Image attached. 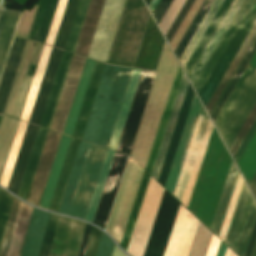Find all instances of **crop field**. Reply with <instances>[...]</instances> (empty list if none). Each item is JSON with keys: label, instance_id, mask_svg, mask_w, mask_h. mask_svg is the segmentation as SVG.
I'll return each mask as SVG.
<instances>
[{"label": "crop field", "instance_id": "4", "mask_svg": "<svg viewBox=\"0 0 256 256\" xmlns=\"http://www.w3.org/2000/svg\"><path fill=\"white\" fill-rule=\"evenodd\" d=\"M256 103V74L248 65L214 124L228 149Z\"/></svg>", "mask_w": 256, "mask_h": 256}, {"label": "crop field", "instance_id": "1", "mask_svg": "<svg viewBox=\"0 0 256 256\" xmlns=\"http://www.w3.org/2000/svg\"><path fill=\"white\" fill-rule=\"evenodd\" d=\"M131 70L104 66L82 140L108 147Z\"/></svg>", "mask_w": 256, "mask_h": 256}, {"label": "crop field", "instance_id": "58", "mask_svg": "<svg viewBox=\"0 0 256 256\" xmlns=\"http://www.w3.org/2000/svg\"><path fill=\"white\" fill-rule=\"evenodd\" d=\"M255 240H256V222H255V225H254V228H253V231H252V234H251V237H250V240H249V243H248V246H247L244 256H251V253H252V250H253V247L255 244Z\"/></svg>", "mask_w": 256, "mask_h": 256}, {"label": "crop field", "instance_id": "30", "mask_svg": "<svg viewBox=\"0 0 256 256\" xmlns=\"http://www.w3.org/2000/svg\"><path fill=\"white\" fill-rule=\"evenodd\" d=\"M103 66H104L103 64H100L97 62L95 63V66H94V69L92 72V76H91V79H90V82H89V85H88V88H87V91H86V94L84 97V101H83V104H82V107H81V110H80V113H79V116H78V119L76 122V126L74 129L73 135H72L73 137H76L79 139L81 138V135H82V132L84 129V125H85V122H86V119H87V116H88V113H89V110H90V107L92 104V100H93V97H94V94H95V91H96V88H97V85H98V82L100 79V75H101Z\"/></svg>", "mask_w": 256, "mask_h": 256}, {"label": "crop field", "instance_id": "55", "mask_svg": "<svg viewBox=\"0 0 256 256\" xmlns=\"http://www.w3.org/2000/svg\"><path fill=\"white\" fill-rule=\"evenodd\" d=\"M172 0H160L159 4L154 10V18L156 22L159 24L161 19L163 18L166 10L168 9L169 5L171 4Z\"/></svg>", "mask_w": 256, "mask_h": 256}, {"label": "crop field", "instance_id": "34", "mask_svg": "<svg viewBox=\"0 0 256 256\" xmlns=\"http://www.w3.org/2000/svg\"><path fill=\"white\" fill-rule=\"evenodd\" d=\"M140 71L141 70H137V69L132 70L131 77H130V80H129V83H128V86L126 89V93H125V96H124V99H123V102L121 105V109H120V112H119V115H118V118L116 121V125L114 128L112 137H111V141H110V144L108 147L110 149H114V150L116 149V146H117V143L119 140V136H120V133H121V130H122V127H123V124H124V121H125V118L127 115V111H128V108H129V105H130V102H131V99H132V96H133V93L135 90V86H136Z\"/></svg>", "mask_w": 256, "mask_h": 256}, {"label": "crop field", "instance_id": "23", "mask_svg": "<svg viewBox=\"0 0 256 256\" xmlns=\"http://www.w3.org/2000/svg\"><path fill=\"white\" fill-rule=\"evenodd\" d=\"M58 0H40L28 38L45 41L49 25Z\"/></svg>", "mask_w": 256, "mask_h": 256}, {"label": "crop field", "instance_id": "45", "mask_svg": "<svg viewBox=\"0 0 256 256\" xmlns=\"http://www.w3.org/2000/svg\"><path fill=\"white\" fill-rule=\"evenodd\" d=\"M247 65V62L245 61V59H243L242 63L240 64L239 68L237 69L236 73L234 74L226 90L224 91L223 95L221 96L220 100L218 101L217 105L215 106L214 110L210 115L213 122L217 117L218 113L220 112L221 108L223 107L224 103L226 102L227 98L229 97L230 93L234 89L235 85L237 84L238 80L240 79L241 75L243 74L244 70L246 69Z\"/></svg>", "mask_w": 256, "mask_h": 256}, {"label": "crop field", "instance_id": "32", "mask_svg": "<svg viewBox=\"0 0 256 256\" xmlns=\"http://www.w3.org/2000/svg\"><path fill=\"white\" fill-rule=\"evenodd\" d=\"M94 63H95L94 61H91L88 59L86 60V63H85L84 69H83V73H82V76H81V79H80V82H79V85H78V88H77V91L75 94V98H74V101H73V104H72V107H71V110H70V113H69V116L67 119V123H66L65 129H64V132H63L64 134H67L70 136L72 135V132H73V129L75 126V122H76V119H77V116H78V113H79V110H80V107H81V104L83 101V97H84V94H85V91H86V88H87V85H88V82H89V79L91 76V72H92Z\"/></svg>", "mask_w": 256, "mask_h": 256}, {"label": "crop field", "instance_id": "25", "mask_svg": "<svg viewBox=\"0 0 256 256\" xmlns=\"http://www.w3.org/2000/svg\"><path fill=\"white\" fill-rule=\"evenodd\" d=\"M72 53H68V52H63L62 58H61V62L55 77V81L49 96V100L43 115V119L41 122V127L44 128H49L59 95H60V91L72 58Z\"/></svg>", "mask_w": 256, "mask_h": 256}, {"label": "crop field", "instance_id": "39", "mask_svg": "<svg viewBox=\"0 0 256 256\" xmlns=\"http://www.w3.org/2000/svg\"><path fill=\"white\" fill-rule=\"evenodd\" d=\"M113 153H114L113 151H110L108 149L106 150V154H105V157H104L101 169H100V173H99V176H98V179L96 182V186H95V189H94V192L92 195V199H91V202H90V205H89V208L87 211V215L85 218L86 220H88L90 222H92V219H93V216L95 213V209H96V206H97V203H98L101 191H102V187H103V184H104V181H105V178H106L109 166H110V162H111Z\"/></svg>", "mask_w": 256, "mask_h": 256}, {"label": "crop field", "instance_id": "38", "mask_svg": "<svg viewBox=\"0 0 256 256\" xmlns=\"http://www.w3.org/2000/svg\"><path fill=\"white\" fill-rule=\"evenodd\" d=\"M238 171L232 162L211 230L218 235Z\"/></svg>", "mask_w": 256, "mask_h": 256}, {"label": "crop field", "instance_id": "15", "mask_svg": "<svg viewBox=\"0 0 256 256\" xmlns=\"http://www.w3.org/2000/svg\"><path fill=\"white\" fill-rule=\"evenodd\" d=\"M62 50L52 48L41 85L29 118V123L40 125L41 118L48 100V96L54 81V77L60 62Z\"/></svg>", "mask_w": 256, "mask_h": 256}, {"label": "crop field", "instance_id": "46", "mask_svg": "<svg viewBox=\"0 0 256 256\" xmlns=\"http://www.w3.org/2000/svg\"><path fill=\"white\" fill-rule=\"evenodd\" d=\"M13 198L14 197L12 195L0 189V244L4 234Z\"/></svg>", "mask_w": 256, "mask_h": 256}, {"label": "crop field", "instance_id": "68", "mask_svg": "<svg viewBox=\"0 0 256 256\" xmlns=\"http://www.w3.org/2000/svg\"><path fill=\"white\" fill-rule=\"evenodd\" d=\"M150 1H151V0H145L147 6H148V4H149Z\"/></svg>", "mask_w": 256, "mask_h": 256}, {"label": "crop field", "instance_id": "37", "mask_svg": "<svg viewBox=\"0 0 256 256\" xmlns=\"http://www.w3.org/2000/svg\"><path fill=\"white\" fill-rule=\"evenodd\" d=\"M51 48L52 47L50 46H46V45L44 46L32 85H31L21 118H20L21 120H24L26 122L28 121Z\"/></svg>", "mask_w": 256, "mask_h": 256}, {"label": "crop field", "instance_id": "9", "mask_svg": "<svg viewBox=\"0 0 256 256\" xmlns=\"http://www.w3.org/2000/svg\"><path fill=\"white\" fill-rule=\"evenodd\" d=\"M180 203L164 191L143 256H163Z\"/></svg>", "mask_w": 256, "mask_h": 256}, {"label": "crop field", "instance_id": "26", "mask_svg": "<svg viewBox=\"0 0 256 256\" xmlns=\"http://www.w3.org/2000/svg\"><path fill=\"white\" fill-rule=\"evenodd\" d=\"M182 75H183V73H182L180 67L178 66V69H177V72H176V75H175V78L173 81V85H172V88H171V91H170V94H169V97H168V100H167V103H166V106H165V109H164V112L162 115V119H161L158 131H157V134H156V137H155L152 149H151V153H150V156H149L146 168H145V170L149 174H151V171H152V168H153V165L155 162V158H156V155H157V152H158V149H159V146H160V143H161V140H162L165 128H166V124H167V121H168V118H169V115H170V112H171V109H172V106H173V103H174V100H175V97L177 94V90H178Z\"/></svg>", "mask_w": 256, "mask_h": 256}, {"label": "crop field", "instance_id": "40", "mask_svg": "<svg viewBox=\"0 0 256 256\" xmlns=\"http://www.w3.org/2000/svg\"><path fill=\"white\" fill-rule=\"evenodd\" d=\"M19 13L6 11L0 27V70Z\"/></svg>", "mask_w": 256, "mask_h": 256}, {"label": "crop field", "instance_id": "66", "mask_svg": "<svg viewBox=\"0 0 256 256\" xmlns=\"http://www.w3.org/2000/svg\"><path fill=\"white\" fill-rule=\"evenodd\" d=\"M5 0H0V9H2Z\"/></svg>", "mask_w": 256, "mask_h": 256}, {"label": "crop field", "instance_id": "61", "mask_svg": "<svg viewBox=\"0 0 256 256\" xmlns=\"http://www.w3.org/2000/svg\"><path fill=\"white\" fill-rule=\"evenodd\" d=\"M256 51V39L253 42L252 46L250 47L249 51L247 52L245 59L247 60V62L249 63L251 57L253 56L254 52Z\"/></svg>", "mask_w": 256, "mask_h": 256}, {"label": "crop field", "instance_id": "5", "mask_svg": "<svg viewBox=\"0 0 256 256\" xmlns=\"http://www.w3.org/2000/svg\"><path fill=\"white\" fill-rule=\"evenodd\" d=\"M255 23L256 0L253 1L245 17L198 94L205 107Z\"/></svg>", "mask_w": 256, "mask_h": 256}, {"label": "crop field", "instance_id": "44", "mask_svg": "<svg viewBox=\"0 0 256 256\" xmlns=\"http://www.w3.org/2000/svg\"><path fill=\"white\" fill-rule=\"evenodd\" d=\"M26 125H27L26 123H23L21 121L19 122L18 129H17L16 135H15L13 145H12V148H11V151H10V154L8 157V161H7L4 173H3V177H2V180L0 183L4 187H7V184H8V181H9V178L11 175V171H12V168H13V165H14V162H15V159H16L21 141H22V137H23Z\"/></svg>", "mask_w": 256, "mask_h": 256}, {"label": "crop field", "instance_id": "60", "mask_svg": "<svg viewBox=\"0 0 256 256\" xmlns=\"http://www.w3.org/2000/svg\"><path fill=\"white\" fill-rule=\"evenodd\" d=\"M21 14H22V13L19 14V17H18V20H17V23H16V27H15V30H14V33H13V36H12V39H11V42H10V45H9V48H8V52H7V55H6V58H5V61H4V64H3V67H2V70H1V73H0V80H1L2 73H3L4 67H5V64H6L8 55H9V52H10V48H11V45H12V42H13V39H14V36H15V33H16V30H17V27H18V23H19Z\"/></svg>", "mask_w": 256, "mask_h": 256}, {"label": "crop field", "instance_id": "8", "mask_svg": "<svg viewBox=\"0 0 256 256\" xmlns=\"http://www.w3.org/2000/svg\"><path fill=\"white\" fill-rule=\"evenodd\" d=\"M125 0H105L88 58L106 62Z\"/></svg>", "mask_w": 256, "mask_h": 256}, {"label": "crop field", "instance_id": "7", "mask_svg": "<svg viewBox=\"0 0 256 256\" xmlns=\"http://www.w3.org/2000/svg\"><path fill=\"white\" fill-rule=\"evenodd\" d=\"M164 189L150 178L127 253L142 256Z\"/></svg>", "mask_w": 256, "mask_h": 256}, {"label": "crop field", "instance_id": "53", "mask_svg": "<svg viewBox=\"0 0 256 256\" xmlns=\"http://www.w3.org/2000/svg\"><path fill=\"white\" fill-rule=\"evenodd\" d=\"M100 233H101V231H99L97 228H95L93 226L91 227V231H90V235H89V239H88V243L86 246L84 256H94L95 255V251L97 248Z\"/></svg>", "mask_w": 256, "mask_h": 256}, {"label": "crop field", "instance_id": "57", "mask_svg": "<svg viewBox=\"0 0 256 256\" xmlns=\"http://www.w3.org/2000/svg\"><path fill=\"white\" fill-rule=\"evenodd\" d=\"M220 240L212 235L206 256H215Z\"/></svg>", "mask_w": 256, "mask_h": 256}, {"label": "crop field", "instance_id": "20", "mask_svg": "<svg viewBox=\"0 0 256 256\" xmlns=\"http://www.w3.org/2000/svg\"><path fill=\"white\" fill-rule=\"evenodd\" d=\"M199 106H200V104H199L196 96L194 95V98H193V101L191 104V108H190V111H189V114H188V117H187V120H186V123L184 126V130H183V133H182V136H181V139H180L177 151H176V155H175V158H174V161H173L170 173H169V177H168V180H167V183L165 186V188L170 193H172V190H173V187H174V184L176 181V177H177V174H178V171H179V168H180V165H181L184 153H185V149H186V146H187L194 122H195V118H196Z\"/></svg>", "mask_w": 256, "mask_h": 256}, {"label": "crop field", "instance_id": "54", "mask_svg": "<svg viewBox=\"0 0 256 256\" xmlns=\"http://www.w3.org/2000/svg\"><path fill=\"white\" fill-rule=\"evenodd\" d=\"M194 0H186L185 4L183 5L182 9L180 10L178 16L176 17L175 21L173 22L172 26L170 27L169 31L166 34V39L169 43L170 39L172 38L173 34L175 33L176 29L178 28L180 22L182 21L183 17L185 16L186 12L188 11L189 7L191 6Z\"/></svg>", "mask_w": 256, "mask_h": 256}, {"label": "crop field", "instance_id": "50", "mask_svg": "<svg viewBox=\"0 0 256 256\" xmlns=\"http://www.w3.org/2000/svg\"><path fill=\"white\" fill-rule=\"evenodd\" d=\"M19 202H20L19 200L14 198V202H13L12 209L10 212L9 220L7 223V227H6L5 234H4L3 241L1 244V248H0V256H5L7 245H8L9 238H10L11 231H12V227H13L14 220L16 217L17 209L19 206Z\"/></svg>", "mask_w": 256, "mask_h": 256}, {"label": "crop field", "instance_id": "29", "mask_svg": "<svg viewBox=\"0 0 256 256\" xmlns=\"http://www.w3.org/2000/svg\"><path fill=\"white\" fill-rule=\"evenodd\" d=\"M187 84H188V82H187L185 76L183 75V78H182V81H181V84L179 87V91H178V94H177V97H176V100H175V103H174V106H173V109H172V112H171V115H170V118L168 121V125H167L166 131H165V134H164V137H163V140H162V143H161L158 155H157V159H156V162H155L152 174H151V176L154 177L155 179H157V176H158V173H159V170H160L163 158H164V154H165V151H166V148H167V145H168V142H169V139H170V136H171V133H172L179 109H180V105H181Z\"/></svg>", "mask_w": 256, "mask_h": 256}, {"label": "crop field", "instance_id": "65", "mask_svg": "<svg viewBox=\"0 0 256 256\" xmlns=\"http://www.w3.org/2000/svg\"><path fill=\"white\" fill-rule=\"evenodd\" d=\"M4 12H5V11H0V24H1V21H2L3 15H4Z\"/></svg>", "mask_w": 256, "mask_h": 256}, {"label": "crop field", "instance_id": "43", "mask_svg": "<svg viewBox=\"0 0 256 256\" xmlns=\"http://www.w3.org/2000/svg\"><path fill=\"white\" fill-rule=\"evenodd\" d=\"M213 1L214 0H205L198 13L196 14L195 18L193 19L191 25L189 26L188 30L186 31L185 35L183 36L182 40L180 41L178 47L174 52L178 60L182 55L183 51L185 50L186 46L188 45L189 41L191 40L192 36L194 35L195 31L197 30L198 26L200 25L201 21L203 20Z\"/></svg>", "mask_w": 256, "mask_h": 256}, {"label": "crop field", "instance_id": "56", "mask_svg": "<svg viewBox=\"0 0 256 256\" xmlns=\"http://www.w3.org/2000/svg\"><path fill=\"white\" fill-rule=\"evenodd\" d=\"M256 130V121L254 122L253 126L249 130L248 134L246 135L245 139L243 140L242 144L238 148L237 152L234 155V160L237 162L239 157L241 156L243 150L245 149L246 145L248 144L250 138L252 137L254 131Z\"/></svg>", "mask_w": 256, "mask_h": 256}, {"label": "crop field", "instance_id": "35", "mask_svg": "<svg viewBox=\"0 0 256 256\" xmlns=\"http://www.w3.org/2000/svg\"><path fill=\"white\" fill-rule=\"evenodd\" d=\"M149 178H150V176L148 174H146L145 172H143V175H142V178L140 181V185H139V188H138V191H137V194H136L133 206H132V210H131V213H130V216H129V219H128V222H127V225H126V228L124 231V235H123V238H122V241L120 244V246L125 251H127V247H128V244H129V241H130V238H131L134 226H135V222H136V219H137L140 207H141V203H142V200H143L146 188H147Z\"/></svg>", "mask_w": 256, "mask_h": 256}, {"label": "crop field", "instance_id": "6", "mask_svg": "<svg viewBox=\"0 0 256 256\" xmlns=\"http://www.w3.org/2000/svg\"><path fill=\"white\" fill-rule=\"evenodd\" d=\"M248 190L243 183L225 240L239 256L244 255L256 219V203Z\"/></svg>", "mask_w": 256, "mask_h": 256}, {"label": "crop field", "instance_id": "18", "mask_svg": "<svg viewBox=\"0 0 256 256\" xmlns=\"http://www.w3.org/2000/svg\"><path fill=\"white\" fill-rule=\"evenodd\" d=\"M49 215L33 209L21 256H39Z\"/></svg>", "mask_w": 256, "mask_h": 256}, {"label": "crop field", "instance_id": "49", "mask_svg": "<svg viewBox=\"0 0 256 256\" xmlns=\"http://www.w3.org/2000/svg\"><path fill=\"white\" fill-rule=\"evenodd\" d=\"M66 2H67V0H59V2H58L56 12H55V15H54V18H53L46 42H45L46 44H49L51 46L53 45Z\"/></svg>", "mask_w": 256, "mask_h": 256}, {"label": "crop field", "instance_id": "63", "mask_svg": "<svg viewBox=\"0 0 256 256\" xmlns=\"http://www.w3.org/2000/svg\"><path fill=\"white\" fill-rule=\"evenodd\" d=\"M249 186H250V188H251V190H252V192H253V194H254V196L256 198V175L254 176V178L251 181Z\"/></svg>", "mask_w": 256, "mask_h": 256}, {"label": "crop field", "instance_id": "64", "mask_svg": "<svg viewBox=\"0 0 256 256\" xmlns=\"http://www.w3.org/2000/svg\"><path fill=\"white\" fill-rule=\"evenodd\" d=\"M225 256H236L229 248H227Z\"/></svg>", "mask_w": 256, "mask_h": 256}, {"label": "crop field", "instance_id": "28", "mask_svg": "<svg viewBox=\"0 0 256 256\" xmlns=\"http://www.w3.org/2000/svg\"><path fill=\"white\" fill-rule=\"evenodd\" d=\"M79 142H80L79 140H76L73 138L71 139V142H70V145H69V148H68V151H67V154H66L49 208H48L51 211H55V212L58 211Z\"/></svg>", "mask_w": 256, "mask_h": 256}, {"label": "crop field", "instance_id": "19", "mask_svg": "<svg viewBox=\"0 0 256 256\" xmlns=\"http://www.w3.org/2000/svg\"><path fill=\"white\" fill-rule=\"evenodd\" d=\"M27 40L15 38L0 83V113H3Z\"/></svg>", "mask_w": 256, "mask_h": 256}, {"label": "crop field", "instance_id": "12", "mask_svg": "<svg viewBox=\"0 0 256 256\" xmlns=\"http://www.w3.org/2000/svg\"><path fill=\"white\" fill-rule=\"evenodd\" d=\"M85 225L60 216L49 256H77Z\"/></svg>", "mask_w": 256, "mask_h": 256}, {"label": "crop field", "instance_id": "27", "mask_svg": "<svg viewBox=\"0 0 256 256\" xmlns=\"http://www.w3.org/2000/svg\"><path fill=\"white\" fill-rule=\"evenodd\" d=\"M47 131H48L47 129H43L39 127L35 137V141H34V144L28 159V163L21 181V185L17 194V196L25 200L29 191V187L36 169V165H37L43 144H44Z\"/></svg>", "mask_w": 256, "mask_h": 256}, {"label": "crop field", "instance_id": "41", "mask_svg": "<svg viewBox=\"0 0 256 256\" xmlns=\"http://www.w3.org/2000/svg\"><path fill=\"white\" fill-rule=\"evenodd\" d=\"M79 0H68L59 30L54 42V47L64 48Z\"/></svg>", "mask_w": 256, "mask_h": 256}, {"label": "crop field", "instance_id": "3", "mask_svg": "<svg viewBox=\"0 0 256 256\" xmlns=\"http://www.w3.org/2000/svg\"><path fill=\"white\" fill-rule=\"evenodd\" d=\"M149 17L141 0H126L106 63L134 66Z\"/></svg>", "mask_w": 256, "mask_h": 256}, {"label": "crop field", "instance_id": "33", "mask_svg": "<svg viewBox=\"0 0 256 256\" xmlns=\"http://www.w3.org/2000/svg\"><path fill=\"white\" fill-rule=\"evenodd\" d=\"M233 1L234 0H225L222 6L220 7L219 11L217 12L215 18L213 19L212 23L210 24L205 35L203 36L198 47L196 48L195 52L193 53L192 57L190 58L188 64L184 69L188 77L192 72L193 68L195 67L200 56L202 55L203 51L205 50L206 46L208 45L209 41L211 40L212 36L214 35L222 19L224 18L225 14L227 13L228 9L230 8L231 4L233 3Z\"/></svg>", "mask_w": 256, "mask_h": 256}, {"label": "crop field", "instance_id": "47", "mask_svg": "<svg viewBox=\"0 0 256 256\" xmlns=\"http://www.w3.org/2000/svg\"><path fill=\"white\" fill-rule=\"evenodd\" d=\"M184 2L185 0H174L170 8L168 9L167 13L165 14L163 20L161 21L160 25L158 24L164 36L168 31L169 27L171 26L172 22L174 21L176 15L178 14Z\"/></svg>", "mask_w": 256, "mask_h": 256}, {"label": "crop field", "instance_id": "13", "mask_svg": "<svg viewBox=\"0 0 256 256\" xmlns=\"http://www.w3.org/2000/svg\"><path fill=\"white\" fill-rule=\"evenodd\" d=\"M60 134L48 131L45 144L38 162V166L30 187L27 202L39 205L42 192L50 171V167L57 149Z\"/></svg>", "mask_w": 256, "mask_h": 256}, {"label": "crop field", "instance_id": "14", "mask_svg": "<svg viewBox=\"0 0 256 256\" xmlns=\"http://www.w3.org/2000/svg\"><path fill=\"white\" fill-rule=\"evenodd\" d=\"M127 156L120 153H115L110 172L99 202V206L94 218V223L105 226L110 207L121 177V173Z\"/></svg>", "mask_w": 256, "mask_h": 256}, {"label": "crop field", "instance_id": "51", "mask_svg": "<svg viewBox=\"0 0 256 256\" xmlns=\"http://www.w3.org/2000/svg\"><path fill=\"white\" fill-rule=\"evenodd\" d=\"M255 119H256V104L229 149L230 152L232 153V156L234 155L237 148L241 144L242 140L244 139L245 135L247 134L248 130L250 129V127L253 124V122L255 121Z\"/></svg>", "mask_w": 256, "mask_h": 256}, {"label": "crop field", "instance_id": "59", "mask_svg": "<svg viewBox=\"0 0 256 256\" xmlns=\"http://www.w3.org/2000/svg\"><path fill=\"white\" fill-rule=\"evenodd\" d=\"M90 227H91L90 225H86V229H85V232H84V236H83V239H82V243H81V246H80L78 256L83 255L84 248H85V245H86V241H87V238H88V234H89V231H90Z\"/></svg>", "mask_w": 256, "mask_h": 256}, {"label": "crop field", "instance_id": "67", "mask_svg": "<svg viewBox=\"0 0 256 256\" xmlns=\"http://www.w3.org/2000/svg\"><path fill=\"white\" fill-rule=\"evenodd\" d=\"M252 256H256V244H255V247H254V250H253Z\"/></svg>", "mask_w": 256, "mask_h": 256}, {"label": "crop field", "instance_id": "22", "mask_svg": "<svg viewBox=\"0 0 256 256\" xmlns=\"http://www.w3.org/2000/svg\"><path fill=\"white\" fill-rule=\"evenodd\" d=\"M104 0H91L87 15L78 39L75 54L87 56L91 40L102 10Z\"/></svg>", "mask_w": 256, "mask_h": 256}, {"label": "crop field", "instance_id": "10", "mask_svg": "<svg viewBox=\"0 0 256 256\" xmlns=\"http://www.w3.org/2000/svg\"><path fill=\"white\" fill-rule=\"evenodd\" d=\"M155 72L141 71L117 151L128 154Z\"/></svg>", "mask_w": 256, "mask_h": 256}, {"label": "crop field", "instance_id": "16", "mask_svg": "<svg viewBox=\"0 0 256 256\" xmlns=\"http://www.w3.org/2000/svg\"><path fill=\"white\" fill-rule=\"evenodd\" d=\"M193 91L190 87V85L188 84L182 105H181V109L165 154V158L158 176L157 181L159 183H161L163 186H165L167 177H168V173L175 155V151L183 130V126L190 108V104L193 98Z\"/></svg>", "mask_w": 256, "mask_h": 256}, {"label": "crop field", "instance_id": "52", "mask_svg": "<svg viewBox=\"0 0 256 256\" xmlns=\"http://www.w3.org/2000/svg\"><path fill=\"white\" fill-rule=\"evenodd\" d=\"M115 244L103 233H101L96 256H112Z\"/></svg>", "mask_w": 256, "mask_h": 256}, {"label": "crop field", "instance_id": "24", "mask_svg": "<svg viewBox=\"0 0 256 256\" xmlns=\"http://www.w3.org/2000/svg\"><path fill=\"white\" fill-rule=\"evenodd\" d=\"M32 209V207L20 202L6 256H20Z\"/></svg>", "mask_w": 256, "mask_h": 256}, {"label": "crop field", "instance_id": "36", "mask_svg": "<svg viewBox=\"0 0 256 256\" xmlns=\"http://www.w3.org/2000/svg\"><path fill=\"white\" fill-rule=\"evenodd\" d=\"M256 37V24L252 29L251 33L249 34L248 38L246 39L245 43L243 44L242 48L240 49L238 55L236 56L235 60L233 61L232 65L230 66L229 70L227 71L226 75L224 76L223 80L221 81L220 85L218 86L216 92L214 93L213 97L211 98L210 102L208 103L206 109L210 114L211 110L213 109L214 105L216 104L217 100L219 99L220 95L222 94L223 90L225 89L227 83L229 82L230 78L232 77L233 73L235 72L236 68L238 67L239 63L241 62L242 58L244 57L245 53L247 52L248 48L250 47L251 43L253 42L254 38Z\"/></svg>", "mask_w": 256, "mask_h": 256}, {"label": "crop field", "instance_id": "21", "mask_svg": "<svg viewBox=\"0 0 256 256\" xmlns=\"http://www.w3.org/2000/svg\"><path fill=\"white\" fill-rule=\"evenodd\" d=\"M37 126L27 125L23 141L12 171V175L8 184L9 189L14 194H17L20 181L27 163V159L34 141V137L37 131Z\"/></svg>", "mask_w": 256, "mask_h": 256}, {"label": "crop field", "instance_id": "2", "mask_svg": "<svg viewBox=\"0 0 256 256\" xmlns=\"http://www.w3.org/2000/svg\"><path fill=\"white\" fill-rule=\"evenodd\" d=\"M105 150L80 142L59 213L85 218Z\"/></svg>", "mask_w": 256, "mask_h": 256}, {"label": "crop field", "instance_id": "11", "mask_svg": "<svg viewBox=\"0 0 256 256\" xmlns=\"http://www.w3.org/2000/svg\"><path fill=\"white\" fill-rule=\"evenodd\" d=\"M85 58L73 55L62 92L50 125V130L63 132L74 94L82 73Z\"/></svg>", "mask_w": 256, "mask_h": 256}, {"label": "crop field", "instance_id": "62", "mask_svg": "<svg viewBox=\"0 0 256 256\" xmlns=\"http://www.w3.org/2000/svg\"><path fill=\"white\" fill-rule=\"evenodd\" d=\"M226 248H227V246L225 244H223L222 242H220V245H219L218 252H217L216 256H224Z\"/></svg>", "mask_w": 256, "mask_h": 256}, {"label": "crop field", "instance_id": "31", "mask_svg": "<svg viewBox=\"0 0 256 256\" xmlns=\"http://www.w3.org/2000/svg\"><path fill=\"white\" fill-rule=\"evenodd\" d=\"M70 139V137H66L63 135L61 136L59 146L53 161V165L39 207L46 209L48 208Z\"/></svg>", "mask_w": 256, "mask_h": 256}, {"label": "crop field", "instance_id": "17", "mask_svg": "<svg viewBox=\"0 0 256 256\" xmlns=\"http://www.w3.org/2000/svg\"><path fill=\"white\" fill-rule=\"evenodd\" d=\"M252 1L253 0L243 1L241 7L239 8L238 12L236 13L235 17L233 18L232 22L224 33L222 39L220 40L219 44L217 45L216 49L214 50L213 54L205 65L203 71L201 72L200 76L198 77L197 81L193 86L197 94L201 89L202 85L204 84L205 80L207 79L208 75L210 74L218 58L220 57L221 53L223 52L224 48L226 47L227 43L229 42L230 38L232 37L233 33L235 32L236 28L238 27L239 23L241 22Z\"/></svg>", "mask_w": 256, "mask_h": 256}, {"label": "crop field", "instance_id": "42", "mask_svg": "<svg viewBox=\"0 0 256 256\" xmlns=\"http://www.w3.org/2000/svg\"><path fill=\"white\" fill-rule=\"evenodd\" d=\"M89 2L90 0H80L79 2L76 15L64 48L65 50L70 51L72 53L74 52Z\"/></svg>", "mask_w": 256, "mask_h": 256}, {"label": "crop field", "instance_id": "48", "mask_svg": "<svg viewBox=\"0 0 256 256\" xmlns=\"http://www.w3.org/2000/svg\"><path fill=\"white\" fill-rule=\"evenodd\" d=\"M58 217L59 216H57V215H53V214L50 215V219H49L46 234L44 237L43 245L41 248L40 256H48V254H49V250L51 247V243H52L55 228L57 225Z\"/></svg>", "mask_w": 256, "mask_h": 256}]
</instances>
